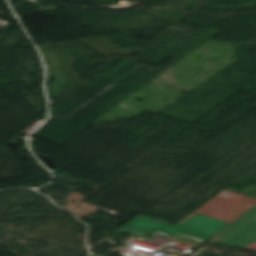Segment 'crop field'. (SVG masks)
Returning a JSON list of instances; mask_svg holds the SVG:
<instances>
[{
  "label": "crop field",
  "instance_id": "obj_1",
  "mask_svg": "<svg viewBox=\"0 0 256 256\" xmlns=\"http://www.w3.org/2000/svg\"><path fill=\"white\" fill-rule=\"evenodd\" d=\"M119 230L138 236L149 232L172 238L182 233L217 244L245 248L256 240V205L231 224L200 214L182 226L137 216ZM211 232L216 236L211 238Z\"/></svg>",
  "mask_w": 256,
  "mask_h": 256
},
{
  "label": "crop field",
  "instance_id": "obj_2",
  "mask_svg": "<svg viewBox=\"0 0 256 256\" xmlns=\"http://www.w3.org/2000/svg\"><path fill=\"white\" fill-rule=\"evenodd\" d=\"M252 205L219 197L200 214L207 215L231 223Z\"/></svg>",
  "mask_w": 256,
  "mask_h": 256
}]
</instances>
